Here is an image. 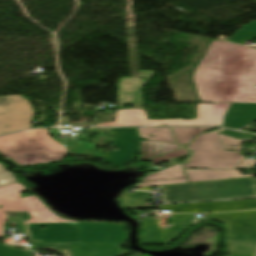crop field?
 Wrapping results in <instances>:
<instances>
[{
	"label": "crop field",
	"mask_w": 256,
	"mask_h": 256,
	"mask_svg": "<svg viewBox=\"0 0 256 256\" xmlns=\"http://www.w3.org/2000/svg\"><path fill=\"white\" fill-rule=\"evenodd\" d=\"M12 185V184H11ZM26 189L20 183L0 189V238L7 214L3 211H29L25 223L30 242H125V224L76 223L58 218L36 196L21 199ZM40 217V218H39ZM45 226L48 229L41 230Z\"/></svg>",
	"instance_id": "obj_1"
},
{
	"label": "crop field",
	"mask_w": 256,
	"mask_h": 256,
	"mask_svg": "<svg viewBox=\"0 0 256 256\" xmlns=\"http://www.w3.org/2000/svg\"><path fill=\"white\" fill-rule=\"evenodd\" d=\"M196 81L202 102L256 103V49L215 41Z\"/></svg>",
	"instance_id": "obj_2"
},
{
	"label": "crop field",
	"mask_w": 256,
	"mask_h": 256,
	"mask_svg": "<svg viewBox=\"0 0 256 256\" xmlns=\"http://www.w3.org/2000/svg\"><path fill=\"white\" fill-rule=\"evenodd\" d=\"M219 137L225 149L238 150V152L194 151L189 163L184 164V166L185 168L229 170H185L188 176V178H185L182 166L178 165L144 178L142 181L146 183H140L133 188L188 183L187 180L192 183L254 176L242 175L238 170H232L245 158L239 155L243 141L235 140L220 134Z\"/></svg>",
	"instance_id": "obj_3"
},
{
	"label": "crop field",
	"mask_w": 256,
	"mask_h": 256,
	"mask_svg": "<svg viewBox=\"0 0 256 256\" xmlns=\"http://www.w3.org/2000/svg\"><path fill=\"white\" fill-rule=\"evenodd\" d=\"M163 197L165 203L249 198L256 197V185L253 178L169 185Z\"/></svg>",
	"instance_id": "obj_4"
},
{
	"label": "crop field",
	"mask_w": 256,
	"mask_h": 256,
	"mask_svg": "<svg viewBox=\"0 0 256 256\" xmlns=\"http://www.w3.org/2000/svg\"><path fill=\"white\" fill-rule=\"evenodd\" d=\"M67 151L47 135L46 129L0 138V153L19 165L60 161Z\"/></svg>",
	"instance_id": "obj_5"
},
{
	"label": "crop field",
	"mask_w": 256,
	"mask_h": 256,
	"mask_svg": "<svg viewBox=\"0 0 256 256\" xmlns=\"http://www.w3.org/2000/svg\"><path fill=\"white\" fill-rule=\"evenodd\" d=\"M206 221L224 224L229 256L256 255V211L206 215Z\"/></svg>",
	"instance_id": "obj_6"
},
{
	"label": "crop field",
	"mask_w": 256,
	"mask_h": 256,
	"mask_svg": "<svg viewBox=\"0 0 256 256\" xmlns=\"http://www.w3.org/2000/svg\"><path fill=\"white\" fill-rule=\"evenodd\" d=\"M231 103H215V105L199 104L196 120H147L143 109H122L117 111L115 123L100 124L96 126H222Z\"/></svg>",
	"instance_id": "obj_7"
},
{
	"label": "crop field",
	"mask_w": 256,
	"mask_h": 256,
	"mask_svg": "<svg viewBox=\"0 0 256 256\" xmlns=\"http://www.w3.org/2000/svg\"><path fill=\"white\" fill-rule=\"evenodd\" d=\"M34 116L31 104L19 96L0 97V135L29 129Z\"/></svg>",
	"instance_id": "obj_8"
},
{
	"label": "crop field",
	"mask_w": 256,
	"mask_h": 256,
	"mask_svg": "<svg viewBox=\"0 0 256 256\" xmlns=\"http://www.w3.org/2000/svg\"><path fill=\"white\" fill-rule=\"evenodd\" d=\"M112 146L118 151L106 152L102 163H112L110 169L122 167L131 161L139 145V137L134 128L111 129Z\"/></svg>",
	"instance_id": "obj_9"
},
{
	"label": "crop field",
	"mask_w": 256,
	"mask_h": 256,
	"mask_svg": "<svg viewBox=\"0 0 256 256\" xmlns=\"http://www.w3.org/2000/svg\"><path fill=\"white\" fill-rule=\"evenodd\" d=\"M255 208L256 200L219 203L174 204L162 206V210H172V213L225 212Z\"/></svg>",
	"instance_id": "obj_10"
},
{
	"label": "crop field",
	"mask_w": 256,
	"mask_h": 256,
	"mask_svg": "<svg viewBox=\"0 0 256 256\" xmlns=\"http://www.w3.org/2000/svg\"><path fill=\"white\" fill-rule=\"evenodd\" d=\"M124 243H71L73 256H123L120 251Z\"/></svg>",
	"instance_id": "obj_11"
},
{
	"label": "crop field",
	"mask_w": 256,
	"mask_h": 256,
	"mask_svg": "<svg viewBox=\"0 0 256 256\" xmlns=\"http://www.w3.org/2000/svg\"><path fill=\"white\" fill-rule=\"evenodd\" d=\"M256 121V104H233L224 127L239 129Z\"/></svg>",
	"instance_id": "obj_12"
},
{
	"label": "crop field",
	"mask_w": 256,
	"mask_h": 256,
	"mask_svg": "<svg viewBox=\"0 0 256 256\" xmlns=\"http://www.w3.org/2000/svg\"><path fill=\"white\" fill-rule=\"evenodd\" d=\"M217 130L209 134H204L196 137L195 141L187 148L189 150H212V151H224L221 141L217 133L223 131Z\"/></svg>",
	"instance_id": "obj_13"
},
{
	"label": "crop field",
	"mask_w": 256,
	"mask_h": 256,
	"mask_svg": "<svg viewBox=\"0 0 256 256\" xmlns=\"http://www.w3.org/2000/svg\"><path fill=\"white\" fill-rule=\"evenodd\" d=\"M141 148V161H145L147 159H151L178 149L176 144L153 141L141 142Z\"/></svg>",
	"instance_id": "obj_14"
},
{
	"label": "crop field",
	"mask_w": 256,
	"mask_h": 256,
	"mask_svg": "<svg viewBox=\"0 0 256 256\" xmlns=\"http://www.w3.org/2000/svg\"><path fill=\"white\" fill-rule=\"evenodd\" d=\"M193 218V215H173L169 221L175 222L174 228L165 230L162 244H170L179 233L187 228Z\"/></svg>",
	"instance_id": "obj_15"
},
{
	"label": "crop field",
	"mask_w": 256,
	"mask_h": 256,
	"mask_svg": "<svg viewBox=\"0 0 256 256\" xmlns=\"http://www.w3.org/2000/svg\"><path fill=\"white\" fill-rule=\"evenodd\" d=\"M139 136L147 140L163 141L174 143L172 133L169 128H137ZM160 130V131H157ZM154 135L150 138L149 135Z\"/></svg>",
	"instance_id": "obj_16"
},
{
	"label": "crop field",
	"mask_w": 256,
	"mask_h": 256,
	"mask_svg": "<svg viewBox=\"0 0 256 256\" xmlns=\"http://www.w3.org/2000/svg\"><path fill=\"white\" fill-rule=\"evenodd\" d=\"M177 143L188 145L200 132L215 128H172Z\"/></svg>",
	"instance_id": "obj_17"
},
{
	"label": "crop field",
	"mask_w": 256,
	"mask_h": 256,
	"mask_svg": "<svg viewBox=\"0 0 256 256\" xmlns=\"http://www.w3.org/2000/svg\"><path fill=\"white\" fill-rule=\"evenodd\" d=\"M151 193L148 192H136L135 194H124L122 196L123 206H129L130 208H143L142 203L144 199H148ZM139 204V206H137Z\"/></svg>",
	"instance_id": "obj_18"
},
{
	"label": "crop field",
	"mask_w": 256,
	"mask_h": 256,
	"mask_svg": "<svg viewBox=\"0 0 256 256\" xmlns=\"http://www.w3.org/2000/svg\"><path fill=\"white\" fill-rule=\"evenodd\" d=\"M13 173H9L4 169L3 165L0 164V188L17 183Z\"/></svg>",
	"instance_id": "obj_19"
},
{
	"label": "crop field",
	"mask_w": 256,
	"mask_h": 256,
	"mask_svg": "<svg viewBox=\"0 0 256 256\" xmlns=\"http://www.w3.org/2000/svg\"><path fill=\"white\" fill-rule=\"evenodd\" d=\"M256 38V32L239 30L229 41L244 44L245 40H253Z\"/></svg>",
	"instance_id": "obj_20"
},
{
	"label": "crop field",
	"mask_w": 256,
	"mask_h": 256,
	"mask_svg": "<svg viewBox=\"0 0 256 256\" xmlns=\"http://www.w3.org/2000/svg\"><path fill=\"white\" fill-rule=\"evenodd\" d=\"M187 153H188V151H186L183 148L181 150H177V151H174V152L168 153L166 155H163V156L151 159V160H147V161H150V162L153 163V165H150V166H154V165H157V164L162 163L164 161L170 160L169 157H172V159H173V158L179 157V156L187 154Z\"/></svg>",
	"instance_id": "obj_21"
},
{
	"label": "crop field",
	"mask_w": 256,
	"mask_h": 256,
	"mask_svg": "<svg viewBox=\"0 0 256 256\" xmlns=\"http://www.w3.org/2000/svg\"><path fill=\"white\" fill-rule=\"evenodd\" d=\"M220 134H224V135H227L229 137L236 138V139H239V140H243V141H246V142L256 141V136L251 135V134H249V136H246L245 133L229 131V130H225V131L221 132ZM248 138H250V139H248Z\"/></svg>",
	"instance_id": "obj_22"
},
{
	"label": "crop field",
	"mask_w": 256,
	"mask_h": 256,
	"mask_svg": "<svg viewBox=\"0 0 256 256\" xmlns=\"http://www.w3.org/2000/svg\"><path fill=\"white\" fill-rule=\"evenodd\" d=\"M0 256H32V255L27 251H19V250L0 246Z\"/></svg>",
	"instance_id": "obj_23"
},
{
	"label": "crop field",
	"mask_w": 256,
	"mask_h": 256,
	"mask_svg": "<svg viewBox=\"0 0 256 256\" xmlns=\"http://www.w3.org/2000/svg\"><path fill=\"white\" fill-rule=\"evenodd\" d=\"M255 165L256 160L244 159L236 168L252 169Z\"/></svg>",
	"instance_id": "obj_24"
},
{
	"label": "crop field",
	"mask_w": 256,
	"mask_h": 256,
	"mask_svg": "<svg viewBox=\"0 0 256 256\" xmlns=\"http://www.w3.org/2000/svg\"><path fill=\"white\" fill-rule=\"evenodd\" d=\"M241 29L250 30V31H256V22L252 21L251 24L244 25Z\"/></svg>",
	"instance_id": "obj_25"
},
{
	"label": "crop field",
	"mask_w": 256,
	"mask_h": 256,
	"mask_svg": "<svg viewBox=\"0 0 256 256\" xmlns=\"http://www.w3.org/2000/svg\"><path fill=\"white\" fill-rule=\"evenodd\" d=\"M212 44H213V43H212ZM211 46H212V45H211ZM211 46H210V48H211ZM210 48H209L208 51L206 52V54H205V56H204L202 62H201L199 65H202V63H203V61L205 60V58H206V56H207V54H208ZM199 65H198V66H199ZM197 74H198V67H197L196 72H195V74H194V80H195V77H196ZM195 84H196V87H197V82H196V81H195Z\"/></svg>",
	"instance_id": "obj_26"
}]
</instances>
